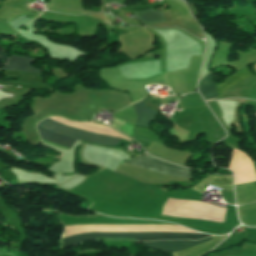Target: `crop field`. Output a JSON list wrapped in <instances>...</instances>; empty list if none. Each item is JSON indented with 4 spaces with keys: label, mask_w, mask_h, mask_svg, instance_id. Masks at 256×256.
I'll use <instances>...</instances> for the list:
<instances>
[{
    "label": "crop field",
    "mask_w": 256,
    "mask_h": 256,
    "mask_svg": "<svg viewBox=\"0 0 256 256\" xmlns=\"http://www.w3.org/2000/svg\"><path fill=\"white\" fill-rule=\"evenodd\" d=\"M136 136H137V135H136ZM137 137L143 138V137H141V136H137ZM144 139H146V138H144ZM146 140H148V139H146ZM148 141H150V140H148Z\"/></svg>",
    "instance_id": "crop-field-10"
},
{
    "label": "crop field",
    "mask_w": 256,
    "mask_h": 256,
    "mask_svg": "<svg viewBox=\"0 0 256 256\" xmlns=\"http://www.w3.org/2000/svg\"><path fill=\"white\" fill-rule=\"evenodd\" d=\"M32 61H33V59H30V58H24V57L11 55L9 58V61L7 63L6 69L15 70V71L42 73V71L37 70L30 66V63Z\"/></svg>",
    "instance_id": "crop-field-7"
},
{
    "label": "crop field",
    "mask_w": 256,
    "mask_h": 256,
    "mask_svg": "<svg viewBox=\"0 0 256 256\" xmlns=\"http://www.w3.org/2000/svg\"><path fill=\"white\" fill-rule=\"evenodd\" d=\"M210 235L190 234V233H98V234H80L65 239L64 247L77 244L84 241L94 240L96 237H127L133 240L155 241L170 239H190L199 240Z\"/></svg>",
    "instance_id": "crop-field-2"
},
{
    "label": "crop field",
    "mask_w": 256,
    "mask_h": 256,
    "mask_svg": "<svg viewBox=\"0 0 256 256\" xmlns=\"http://www.w3.org/2000/svg\"><path fill=\"white\" fill-rule=\"evenodd\" d=\"M136 17L144 24H152L166 21L162 12L154 9L135 11Z\"/></svg>",
    "instance_id": "crop-field-8"
},
{
    "label": "crop field",
    "mask_w": 256,
    "mask_h": 256,
    "mask_svg": "<svg viewBox=\"0 0 256 256\" xmlns=\"http://www.w3.org/2000/svg\"><path fill=\"white\" fill-rule=\"evenodd\" d=\"M210 239H212V237L201 240V241H155V242L144 243L143 246L152 248L155 250H159V251L173 252V251L183 250L190 246L206 242Z\"/></svg>",
    "instance_id": "crop-field-5"
},
{
    "label": "crop field",
    "mask_w": 256,
    "mask_h": 256,
    "mask_svg": "<svg viewBox=\"0 0 256 256\" xmlns=\"http://www.w3.org/2000/svg\"><path fill=\"white\" fill-rule=\"evenodd\" d=\"M38 126L45 128L48 131L59 134V135H63V136H67V137H71V138H75V139H80V140H84L87 142L96 143V144L105 145V146H116L119 143V141L121 140L118 138H112V137L80 130L77 128L65 126V125H62V124H60L56 121H53L49 118L39 122ZM38 126H37V131H38L41 139H43V140H46V141H49V142H52V143H55L58 145H62L65 147H69V148H71V146L75 142V139H71V138H67V137H63V136H59V135L50 133Z\"/></svg>",
    "instance_id": "crop-field-1"
},
{
    "label": "crop field",
    "mask_w": 256,
    "mask_h": 256,
    "mask_svg": "<svg viewBox=\"0 0 256 256\" xmlns=\"http://www.w3.org/2000/svg\"><path fill=\"white\" fill-rule=\"evenodd\" d=\"M252 76L248 66L239 68L233 75L229 76L222 84H217L221 94L237 82ZM213 81L212 72L199 81V90L205 100L214 99L220 96V92Z\"/></svg>",
    "instance_id": "crop-field-3"
},
{
    "label": "crop field",
    "mask_w": 256,
    "mask_h": 256,
    "mask_svg": "<svg viewBox=\"0 0 256 256\" xmlns=\"http://www.w3.org/2000/svg\"><path fill=\"white\" fill-rule=\"evenodd\" d=\"M134 111L137 115L136 125L146 127L156 116V111L146 108L143 100L133 104Z\"/></svg>",
    "instance_id": "crop-field-6"
},
{
    "label": "crop field",
    "mask_w": 256,
    "mask_h": 256,
    "mask_svg": "<svg viewBox=\"0 0 256 256\" xmlns=\"http://www.w3.org/2000/svg\"><path fill=\"white\" fill-rule=\"evenodd\" d=\"M127 163L139 166L149 171L191 179L190 170L178 168L169 163H165L159 160L139 156L131 161H128Z\"/></svg>",
    "instance_id": "crop-field-4"
},
{
    "label": "crop field",
    "mask_w": 256,
    "mask_h": 256,
    "mask_svg": "<svg viewBox=\"0 0 256 256\" xmlns=\"http://www.w3.org/2000/svg\"><path fill=\"white\" fill-rule=\"evenodd\" d=\"M0 60L3 61V64H4V63L6 62V60H7V57H6L5 54L2 53V52H0Z\"/></svg>",
    "instance_id": "crop-field-9"
}]
</instances>
